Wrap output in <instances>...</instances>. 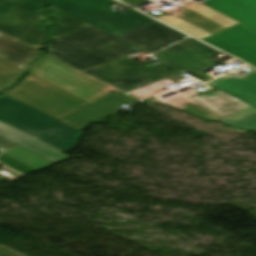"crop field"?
Here are the masks:
<instances>
[{"instance_id": "cbeb9de0", "label": "crop field", "mask_w": 256, "mask_h": 256, "mask_svg": "<svg viewBox=\"0 0 256 256\" xmlns=\"http://www.w3.org/2000/svg\"><path fill=\"white\" fill-rule=\"evenodd\" d=\"M209 84L256 107V70L254 69L239 77L230 73Z\"/></svg>"}, {"instance_id": "28ad6ade", "label": "crop field", "mask_w": 256, "mask_h": 256, "mask_svg": "<svg viewBox=\"0 0 256 256\" xmlns=\"http://www.w3.org/2000/svg\"><path fill=\"white\" fill-rule=\"evenodd\" d=\"M187 36L153 20L119 38L152 54Z\"/></svg>"}, {"instance_id": "34b2d1b8", "label": "crop field", "mask_w": 256, "mask_h": 256, "mask_svg": "<svg viewBox=\"0 0 256 256\" xmlns=\"http://www.w3.org/2000/svg\"><path fill=\"white\" fill-rule=\"evenodd\" d=\"M0 121L64 153L72 150L84 133L8 95L0 96Z\"/></svg>"}, {"instance_id": "92a150f3", "label": "crop field", "mask_w": 256, "mask_h": 256, "mask_svg": "<svg viewBox=\"0 0 256 256\" xmlns=\"http://www.w3.org/2000/svg\"><path fill=\"white\" fill-rule=\"evenodd\" d=\"M171 83L175 84L176 82L167 78V79H164L162 81H159V82L150 84L148 86L136 89L134 91L128 92V94L142 100V99L151 97V96L159 93L158 91H156L154 89L165 86V85H168V84H171Z\"/></svg>"}, {"instance_id": "733c2abd", "label": "crop field", "mask_w": 256, "mask_h": 256, "mask_svg": "<svg viewBox=\"0 0 256 256\" xmlns=\"http://www.w3.org/2000/svg\"><path fill=\"white\" fill-rule=\"evenodd\" d=\"M79 71L43 55L35 62L30 73L51 83L55 84Z\"/></svg>"}, {"instance_id": "5142ce71", "label": "crop field", "mask_w": 256, "mask_h": 256, "mask_svg": "<svg viewBox=\"0 0 256 256\" xmlns=\"http://www.w3.org/2000/svg\"><path fill=\"white\" fill-rule=\"evenodd\" d=\"M0 135L17 143L20 144L56 163L65 161L69 158L70 156L63 154L5 124L0 122Z\"/></svg>"}, {"instance_id": "4a817a6b", "label": "crop field", "mask_w": 256, "mask_h": 256, "mask_svg": "<svg viewBox=\"0 0 256 256\" xmlns=\"http://www.w3.org/2000/svg\"><path fill=\"white\" fill-rule=\"evenodd\" d=\"M0 150L3 151V154L35 170L56 164L2 137H0Z\"/></svg>"}, {"instance_id": "d1516ede", "label": "crop field", "mask_w": 256, "mask_h": 256, "mask_svg": "<svg viewBox=\"0 0 256 256\" xmlns=\"http://www.w3.org/2000/svg\"><path fill=\"white\" fill-rule=\"evenodd\" d=\"M137 101L139 100L119 89L90 106L62 119L61 121L79 130H83L88 127V124L98 121L112 113L118 112L119 110L116 108L122 107L123 104L128 106Z\"/></svg>"}, {"instance_id": "214f88e0", "label": "crop field", "mask_w": 256, "mask_h": 256, "mask_svg": "<svg viewBox=\"0 0 256 256\" xmlns=\"http://www.w3.org/2000/svg\"><path fill=\"white\" fill-rule=\"evenodd\" d=\"M25 71L0 59V91L11 87Z\"/></svg>"}, {"instance_id": "d9b57169", "label": "crop field", "mask_w": 256, "mask_h": 256, "mask_svg": "<svg viewBox=\"0 0 256 256\" xmlns=\"http://www.w3.org/2000/svg\"><path fill=\"white\" fill-rule=\"evenodd\" d=\"M40 54L0 33V58L27 71L30 63Z\"/></svg>"}, {"instance_id": "e52e79f7", "label": "crop field", "mask_w": 256, "mask_h": 256, "mask_svg": "<svg viewBox=\"0 0 256 256\" xmlns=\"http://www.w3.org/2000/svg\"><path fill=\"white\" fill-rule=\"evenodd\" d=\"M217 53L219 52L189 38L154 55L183 71L209 81L213 78L203 71L217 66L209 59Z\"/></svg>"}, {"instance_id": "412701ff", "label": "crop field", "mask_w": 256, "mask_h": 256, "mask_svg": "<svg viewBox=\"0 0 256 256\" xmlns=\"http://www.w3.org/2000/svg\"><path fill=\"white\" fill-rule=\"evenodd\" d=\"M53 5L90 25L114 36L119 37L152 19L131 10L119 15L109 9L113 0H42Z\"/></svg>"}, {"instance_id": "a9b5d70f", "label": "crop field", "mask_w": 256, "mask_h": 256, "mask_svg": "<svg viewBox=\"0 0 256 256\" xmlns=\"http://www.w3.org/2000/svg\"><path fill=\"white\" fill-rule=\"evenodd\" d=\"M7 178H9V177L3 176V175L0 174V180H2V179H7Z\"/></svg>"}, {"instance_id": "f4fd0767", "label": "crop field", "mask_w": 256, "mask_h": 256, "mask_svg": "<svg viewBox=\"0 0 256 256\" xmlns=\"http://www.w3.org/2000/svg\"><path fill=\"white\" fill-rule=\"evenodd\" d=\"M8 94L58 120L90 105L31 74Z\"/></svg>"}, {"instance_id": "3316defc", "label": "crop field", "mask_w": 256, "mask_h": 256, "mask_svg": "<svg viewBox=\"0 0 256 256\" xmlns=\"http://www.w3.org/2000/svg\"><path fill=\"white\" fill-rule=\"evenodd\" d=\"M48 13L49 17L57 22L53 38H58L62 35L88 25L52 6L48 8ZM46 18L48 17L40 18L16 39L34 48L49 41V32L50 29L53 28V25L51 21Z\"/></svg>"}, {"instance_id": "5a996713", "label": "crop field", "mask_w": 256, "mask_h": 256, "mask_svg": "<svg viewBox=\"0 0 256 256\" xmlns=\"http://www.w3.org/2000/svg\"><path fill=\"white\" fill-rule=\"evenodd\" d=\"M202 40L256 67V31L239 23Z\"/></svg>"}, {"instance_id": "dafd665d", "label": "crop field", "mask_w": 256, "mask_h": 256, "mask_svg": "<svg viewBox=\"0 0 256 256\" xmlns=\"http://www.w3.org/2000/svg\"><path fill=\"white\" fill-rule=\"evenodd\" d=\"M122 1H124V2H126V3H128V4H130V5H132V6L136 7V8H138V9H140L141 7H139V6H137V5H139V4H141V3L145 2V1H147V2H149V3H152V2L149 1V0H122Z\"/></svg>"}, {"instance_id": "d8731c3e", "label": "crop field", "mask_w": 256, "mask_h": 256, "mask_svg": "<svg viewBox=\"0 0 256 256\" xmlns=\"http://www.w3.org/2000/svg\"><path fill=\"white\" fill-rule=\"evenodd\" d=\"M44 10L38 0H0V31L16 38L45 16Z\"/></svg>"}, {"instance_id": "ac0d7876", "label": "crop field", "mask_w": 256, "mask_h": 256, "mask_svg": "<svg viewBox=\"0 0 256 256\" xmlns=\"http://www.w3.org/2000/svg\"><path fill=\"white\" fill-rule=\"evenodd\" d=\"M158 19L199 39L238 22L256 30V0H207L205 3L191 1L180 13Z\"/></svg>"}, {"instance_id": "00972430", "label": "crop field", "mask_w": 256, "mask_h": 256, "mask_svg": "<svg viewBox=\"0 0 256 256\" xmlns=\"http://www.w3.org/2000/svg\"><path fill=\"white\" fill-rule=\"evenodd\" d=\"M3 170L10 172V174H12V175H14V176H16V177H19V176H20V174H18V173H16V172L12 171V170H10V169H8V168H6V167H4Z\"/></svg>"}, {"instance_id": "dd49c442", "label": "crop field", "mask_w": 256, "mask_h": 256, "mask_svg": "<svg viewBox=\"0 0 256 256\" xmlns=\"http://www.w3.org/2000/svg\"><path fill=\"white\" fill-rule=\"evenodd\" d=\"M203 87L208 90L187 99L178 96L163 103L214 121H220L253 108L208 84Z\"/></svg>"}, {"instance_id": "8a807250", "label": "crop field", "mask_w": 256, "mask_h": 256, "mask_svg": "<svg viewBox=\"0 0 256 256\" xmlns=\"http://www.w3.org/2000/svg\"><path fill=\"white\" fill-rule=\"evenodd\" d=\"M90 25L49 43V55L126 92L181 73L164 63L144 67L125 57L138 50Z\"/></svg>"}, {"instance_id": "22f410ed", "label": "crop field", "mask_w": 256, "mask_h": 256, "mask_svg": "<svg viewBox=\"0 0 256 256\" xmlns=\"http://www.w3.org/2000/svg\"><path fill=\"white\" fill-rule=\"evenodd\" d=\"M55 85L90 104L118 89L83 72H79Z\"/></svg>"}, {"instance_id": "bc2a9ffb", "label": "crop field", "mask_w": 256, "mask_h": 256, "mask_svg": "<svg viewBox=\"0 0 256 256\" xmlns=\"http://www.w3.org/2000/svg\"><path fill=\"white\" fill-rule=\"evenodd\" d=\"M238 129L252 131L256 129V108L220 121Z\"/></svg>"}]
</instances>
